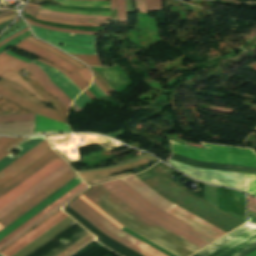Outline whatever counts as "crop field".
I'll return each instance as SVG.
<instances>
[{"label":"crop field","mask_w":256,"mask_h":256,"mask_svg":"<svg viewBox=\"0 0 256 256\" xmlns=\"http://www.w3.org/2000/svg\"><path fill=\"white\" fill-rule=\"evenodd\" d=\"M89 101H91V99L82 92L74 102L78 105L80 109H82L84 105Z\"/></svg>","instance_id":"obj_38"},{"label":"crop field","mask_w":256,"mask_h":256,"mask_svg":"<svg viewBox=\"0 0 256 256\" xmlns=\"http://www.w3.org/2000/svg\"><path fill=\"white\" fill-rule=\"evenodd\" d=\"M63 5H76L84 7H110L109 1H85V0H55Z\"/></svg>","instance_id":"obj_27"},{"label":"crop field","mask_w":256,"mask_h":256,"mask_svg":"<svg viewBox=\"0 0 256 256\" xmlns=\"http://www.w3.org/2000/svg\"><path fill=\"white\" fill-rule=\"evenodd\" d=\"M170 144L174 153L198 161L256 167V155L250 150L207 144H203V150L173 141Z\"/></svg>","instance_id":"obj_5"},{"label":"crop field","mask_w":256,"mask_h":256,"mask_svg":"<svg viewBox=\"0 0 256 256\" xmlns=\"http://www.w3.org/2000/svg\"><path fill=\"white\" fill-rule=\"evenodd\" d=\"M99 88H101L108 96H110L108 94V91L94 78V81H93Z\"/></svg>","instance_id":"obj_50"},{"label":"crop field","mask_w":256,"mask_h":256,"mask_svg":"<svg viewBox=\"0 0 256 256\" xmlns=\"http://www.w3.org/2000/svg\"><path fill=\"white\" fill-rule=\"evenodd\" d=\"M25 70H28L33 74L39 80L43 88L55 96L66 107V109H68L72 101L49 80L47 75L38 66L31 63Z\"/></svg>","instance_id":"obj_18"},{"label":"crop field","mask_w":256,"mask_h":256,"mask_svg":"<svg viewBox=\"0 0 256 256\" xmlns=\"http://www.w3.org/2000/svg\"><path fill=\"white\" fill-rule=\"evenodd\" d=\"M56 156H58L54 150L51 151L49 154H47L46 156H44L42 159H40L39 161H37L35 164H33L32 166H30L28 169H26L25 171H23L21 174H19L18 176H16L14 179H12L11 181H9L7 184H5L4 186H2L0 188V197L5 194L6 192H8L10 189H12L13 187H15L17 184H19L20 182H22L24 179H26L28 176H30L31 174H33L35 171H37L38 169H40L42 166H44L45 164H47L49 161H51L52 159H54Z\"/></svg>","instance_id":"obj_19"},{"label":"crop field","mask_w":256,"mask_h":256,"mask_svg":"<svg viewBox=\"0 0 256 256\" xmlns=\"http://www.w3.org/2000/svg\"><path fill=\"white\" fill-rule=\"evenodd\" d=\"M90 69L93 72V76L98 79L111 93L114 92L115 90L109 85L107 84L99 75L98 73L94 70L93 67H90Z\"/></svg>","instance_id":"obj_42"},{"label":"crop field","mask_w":256,"mask_h":256,"mask_svg":"<svg viewBox=\"0 0 256 256\" xmlns=\"http://www.w3.org/2000/svg\"><path fill=\"white\" fill-rule=\"evenodd\" d=\"M38 15L39 16L50 17V18L62 19V20H70V21H75V22H94V23L111 24V21H99V20H87V19H71V18L58 17V16H52V15H43V14H38Z\"/></svg>","instance_id":"obj_34"},{"label":"crop field","mask_w":256,"mask_h":256,"mask_svg":"<svg viewBox=\"0 0 256 256\" xmlns=\"http://www.w3.org/2000/svg\"><path fill=\"white\" fill-rule=\"evenodd\" d=\"M101 186L139 215L200 248L215 240L154 206L120 179L101 184Z\"/></svg>","instance_id":"obj_3"},{"label":"crop field","mask_w":256,"mask_h":256,"mask_svg":"<svg viewBox=\"0 0 256 256\" xmlns=\"http://www.w3.org/2000/svg\"><path fill=\"white\" fill-rule=\"evenodd\" d=\"M88 199H90L93 203L102 198L103 196L109 197L112 201H114L117 205L123 208L126 212H128L135 219L151 226L155 227L157 225L151 223L145 218L139 216L129 207H127L124 203L114 197L111 193L105 190L100 185L92 187L87 193L83 194ZM103 197L95 204L99 206L102 210L112 216L115 220L121 223L123 226L129 228L130 230L138 233L139 235L145 237L146 239L152 241L153 243L159 245L160 247L168 250L169 252L175 254L176 256H188L200 249L185 240L173 235L172 233L160 228H151L131 217L128 213H126L123 209L117 206L114 202H112L109 198Z\"/></svg>","instance_id":"obj_1"},{"label":"crop field","mask_w":256,"mask_h":256,"mask_svg":"<svg viewBox=\"0 0 256 256\" xmlns=\"http://www.w3.org/2000/svg\"><path fill=\"white\" fill-rule=\"evenodd\" d=\"M30 84L31 86L47 101H49L65 118H66V112L67 110L64 108V106L57 101L55 98L50 96L42 87L41 85L37 82L35 78L32 76H26L24 77Z\"/></svg>","instance_id":"obj_22"},{"label":"crop field","mask_w":256,"mask_h":256,"mask_svg":"<svg viewBox=\"0 0 256 256\" xmlns=\"http://www.w3.org/2000/svg\"><path fill=\"white\" fill-rule=\"evenodd\" d=\"M66 215L64 212H62L61 210L58 211L56 214H54L53 216H51L49 219H47L46 221H44L43 223H41L39 226H37L36 228H34L32 231H30L29 233H27L25 236H23L22 238H20L18 241H16L15 243H13L12 245H10L8 248H6L5 250H3L0 254L4 255V256H12L13 254H15L16 252H18L20 249H22L23 247H25L27 244H29L30 242H32L34 239H36L37 237H39L41 234H43L45 231H47L48 229H50L52 226H54L55 224H57L59 221H61L62 219H64ZM1 256V255H0Z\"/></svg>","instance_id":"obj_14"},{"label":"crop field","mask_w":256,"mask_h":256,"mask_svg":"<svg viewBox=\"0 0 256 256\" xmlns=\"http://www.w3.org/2000/svg\"><path fill=\"white\" fill-rule=\"evenodd\" d=\"M29 35H30V31L25 33V34H23V35H21V36H19V37H17V38H15L14 40L8 42L7 44H5L2 47H0V52L5 50L6 48L16 44L17 42L21 41L23 38H25V37H27Z\"/></svg>","instance_id":"obj_39"},{"label":"crop field","mask_w":256,"mask_h":256,"mask_svg":"<svg viewBox=\"0 0 256 256\" xmlns=\"http://www.w3.org/2000/svg\"><path fill=\"white\" fill-rule=\"evenodd\" d=\"M92 238H94V236L92 235H87L85 238H83L82 240H80L79 242H77L75 245H73L72 247H70L69 249H67L65 252H63L62 254H60L59 256H68L71 253H73L75 250H77L78 248H80L82 245H84L85 243H87L88 241H90ZM83 247V246H82ZM76 252V251H75Z\"/></svg>","instance_id":"obj_33"},{"label":"crop field","mask_w":256,"mask_h":256,"mask_svg":"<svg viewBox=\"0 0 256 256\" xmlns=\"http://www.w3.org/2000/svg\"><path fill=\"white\" fill-rule=\"evenodd\" d=\"M79 198H81L83 201H85L87 204H89L91 207H93L95 210H97L119 228H123L121 224H119L117 221H115L113 218H111L109 215H107L105 212L95 206L86 197L82 195ZM79 198L75 199L69 206V208L107 237L122 244L123 246L129 248L130 250L136 252L141 256H167L162 252L154 249L153 247L147 245L146 243L131 236L130 234L122 231Z\"/></svg>","instance_id":"obj_4"},{"label":"crop field","mask_w":256,"mask_h":256,"mask_svg":"<svg viewBox=\"0 0 256 256\" xmlns=\"http://www.w3.org/2000/svg\"><path fill=\"white\" fill-rule=\"evenodd\" d=\"M36 18H39L41 20H45V21H52V22H58V23H62V24H69V25H84V26H102L104 24H87V23H72V22H65V21H60V20H55V19H46V18H42V17H38L36 16ZM108 26V25H106Z\"/></svg>","instance_id":"obj_37"},{"label":"crop field","mask_w":256,"mask_h":256,"mask_svg":"<svg viewBox=\"0 0 256 256\" xmlns=\"http://www.w3.org/2000/svg\"><path fill=\"white\" fill-rule=\"evenodd\" d=\"M69 169H71L69 167V165L66 163L64 164L62 167H60L58 170H56L55 172H53L51 175H49L48 177H46L44 180H42L40 183H38L37 185H35L33 188H31L30 190H28L26 193H24L22 196H20L19 198H17L16 200H14L12 203H10L9 205H7L5 208H3L2 210H0V218L3 217L4 215H6L7 213H9L11 210H13L14 208H16L18 205H20L22 202H24L25 200H27L29 197H31L32 195H34L35 193H37L39 190H41L42 188H44L45 186H47L49 183H51L52 181H54L55 179H57L59 176H61L62 174H64L65 172H67Z\"/></svg>","instance_id":"obj_17"},{"label":"crop field","mask_w":256,"mask_h":256,"mask_svg":"<svg viewBox=\"0 0 256 256\" xmlns=\"http://www.w3.org/2000/svg\"><path fill=\"white\" fill-rule=\"evenodd\" d=\"M0 94L42 116L67 123L66 119L58 111L43 105L39 99L33 97L18 84L16 85L7 80L0 79Z\"/></svg>","instance_id":"obj_8"},{"label":"crop field","mask_w":256,"mask_h":256,"mask_svg":"<svg viewBox=\"0 0 256 256\" xmlns=\"http://www.w3.org/2000/svg\"><path fill=\"white\" fill-rule=\"evenodd\" d=\"M87 186H83L81 189H79L78 191H76L74 194H72L71 196H69L67 199H65L64 201H62L60 204H58L57 206H55L53 209H51L50 211H48L46 214H44L43 216H41L40 218H38L36 221H34L33 223H31L29 226H27L26 228H24L22 231H20L19 233H17L15 236H13L12 238H10L8 241H6L5 243H3L0 246V250H2L3 248H5L7 245H9L10 243H12L14 240H16L17 238H19L21 235H23L24 233H26L28 230H30L31 228H33L35 225H37L38 223H40L42 220H44L45 218H47L49 215H51L52 213H54L56 210H58L59 208H61L63 205H65L68 201H70L73 197H75L77 194H79L81 191H83L84 189H86Z\"/></svg>","instance_id":"obj_21"},{"label":"crop field","mask_w":256,"mask_h":256,"mask_svg":"<svg viewBox=\"0 0 256 256\" xmlns=\"http://www.w3.org/2000/svg\"><path fill=\"white\" fill-rule=\"evenodd\" d=\"M132 174H133V172L122 174V175L107 176V177H104V178H100V179H97V180H94V181L87 182V184L92 185V184H96V183H100V182H104V181H110V180L118 179V178L125 177V176L132 175Z\"/></svg>","instance_id":"obj_36"},{"label":"crop field","mask_w":256,"mask_h":256,"mask_svg":"<svg viewBox=\"0 0 256 256\" xmlns=\"http://www.w3.org/2000/svg\"><path fill=\"white\" fill-rule=\"evenodd\" d=\"M26 39H28V40H30V41H32V42H34V43H36V44H38V45H40V46H42V47H44V48H46V49H48V50L54 52V53H56V54H58V55H60V56H62V57H64V58H66L67 60H69L70 62H72L73 64L77 65V66L80 67V68L84 66V65L78 63L77 61L73 60V59L70 58L69 56H67V55H65V54H63V53H61L60 51H58V50H56V49H54V48H52V47H49V46H47V45H45V44H43V43H41V42H39V41H37V40L31 38V37H28V38H26Z\"/></svg>","instance_id":"obj_31"},{"label":"crop field","mask_w":256,"mask_h":256,"mask_svg":"<svg viewBox=\"0 0 256 256\" xmlns=\"http://www.w3.org/2000/svg\"><path fill=\"white\" fill-rule=\"evenodd\" d=\"M25 27H27V25H25V26H23V27H21V28H19V29L15 30V31H13V32L9 33L8 35H6V36H4V37L0 38V41H1L2 39L6 38V37H8V36H10V35H12V34H14V33L18 32L19 30H21V29H23V28H25Z\"/></svg>","instance_id":"obj_51"},{"label":"crop field","mask_w":256,"mask_h":256,"mask_svg":"<svg viewBox=\"0 0 256 256\" xmlns=\"http://www.w3.org/2000/svg\"><path fill=\"white\" fill-rule=\"evenodd\" d=\"M50 150L52 149L49 147L48 143L45 140L41 144L33 148L31 151L26 153L24 156L19 158L17 161L12 163L10 166L5 168L3 171L0 172V186L10 180L19 172H21L27 166L32 164L38 158L44 156Z\"/></svg>","instance_id":"obj_12"},{"label":"crop field","mask_w":256,"mask_h":256,"mask_svg":"<svg viewBox=\"0 0 256 256\" xmlns=\"http://www.w3.org/2000/svg\"><path fill=\"white\" fill-rule=\"evenodd\" d=\"M169 162L185 174L196 179L240 189L252 196H256V175L195 168L171 159Z\"/></svg>","instance_id":"obj_6"},{"label":"crop field","mask_w":256,"mask_h":256,"mask_svg":"<svg viewBox=\"0 0 256 256\" xmlns=\"http://www.w3.org/2000/svg\"><path fill=\"white\" fill-rule=\"evenodd\" d=\"M2 78L11 80L15 83H19L20 85L24 86L31 94H33L35 97L39 98L40 100L47 102L46 100H44L43 98H41L34 90L33 88L27 83V81L25 79H23L22 77H20L18 74L12 72V71H8L7 73H5L3 76H1Z\"/></svg>","instance_id":"obj_28"},{"label":"crop field","mask_w":256,"mask_h":256,"mask_svg":"<svg viewBox=\"0 0 256 256\" xmlns=\"http://www.w3.org/2000/svg\"><path fill=\"white\" fill-rule=\"evenodd\" d=\"M171 168L163 163H158L150 169L136 174L140 179L150 185L153 189L165 198L218 226L219 228L230 231L242 224L186 191L180 189L164 176L172 172Z\"/></svg>","instance_id":"obj_2"},{"label":"crop field","mask_w":256,"mask_h":256,"mask_svg":"<svg viewBox=\"0 0 256 256\" xmlns=\"http://www.w3.org/2000/svg\"><path fill=\"white\" fill-rule=\"evenodd\" d=\"M40 13L52 14V15H58V16H65V17H71V18H93V19H101V20H110V17L82 16V15L66 14V13L46 11V10H41Z\"/></svg>","instance_id":"obj_30"},{"label":"crop field","mask_w":256,"mask_h":256,"mask_svg":"<svg viewBox=\"0 0 256 256\" xmlns=\"http://www.w3.org/2000/svg\"><path fill=\"white\" fill-rule=\"evenodd\" d=\"M10 13H13V12L8 10V11L0 13V16L7 15V14H10Z\"/></svg>","instance_id":"obj_53"},{"label":"crop field","mask_w":256,"mask_h":256,"mask_svg":"<svg viewBox=\"0 0 256 256\" xmlns=\"http://www.w3.org/2000/svg\"><path fill=\"white\" fill-rule=\"evenodd\" d=\"M121 180H123L133 189H135L138 193H140L154 205L160 207L165 211H168L175 205L169 202L168 200L164 199L162 196H160L158 193H156L154 190H152L150 187H148L145 183H143L134 175L122 178ZM168 212L215 239L226 234L176 205Z\"/></svg>","instance_id":"obj_7"},{"label":"crop field","mask_w":256,"mask_h":256,"mask_svg":"<svg viewBox=\"0 0 256 256\" xmlns=\"http://www.w3.org/2000/svg\"><path fill=\"white\" fill-rule=\"evenodd\" d=\"M15 47L20 48L24 51H27L29 53H32L36 56H39L45 60H48L62 68H64L65 70H67L68 72H73L77 69H79L78 67H76L75 65L69 63L68 61L60 58L59 56L55 55L54 53L28 41V40H23L22 42H20L19 44H17Z\"/></svg>","instance_id":"obj_15"},{"label":"crop field","mask_w":256,"mask_h":256,"mask_svg":"<svg viewBox=\"0 0 256 256\" xmlns=\"http://www.w3.org/2000/svg\"><path fill=\"white\" fill-rule=\"evenodd\" d=\"M14 138H8V137H1L0 138V148H2L4 145H6L8 142H10Z\"/></svg>","instance_id":"obj_47"},{"label":"crop field","mask_w":256,"mask_h":256,"mask_svg":"<svg viewBox=\"0 0 256 256\" xmlns=\"http://www.w3.org/2000/svg\"><path fill=\"white\" fill-rule=\"evenodd\" d=\"M70 132L69 126L36 114L35 134Z\"/></svg>","instance_id":"obj_20"},{"label":"crop field","mask_w":256,"mask_h":256,"mask_svg":"<svg viewBox=\"0 0 256 256\" xmlns=\"http://www.w3.org/2000/svg\"><path fill=\"white\" fill-rule=\"evenodd\" d=\"M75 176H77L76 172L73 171L72 169L69 170L67 173L59 177L57 180L52 182L50 185L42 189L40 192L35 194L33 197L28 199L26 202L18 206L16 209L11 211L9 214L4 216L2 219H0V223L3 225H8L10 222L18 218L20 215L25 213L27 210L32 208L34 205L42 201L44 198L49 196L51 193L56 191L58 188L66 184L68 181L73 179ZM0 224V230L5 227Z\"/></svg>","instance_id":"obj_10"},{"label":"crop field","mask_w":256,"mask_h":256,"mask_svg":"<svg viewBox=\"0 0 256 256\" xmlns=\"http://www.w3.org/2000/svg\"><path fill=\"white\" fill-rule=\"evenodd\" d=\"M139 12L147 13L144 0H135Z\"/></svg>","instance_id":"obj_43"},{"label":"crop field","mask_w":256,"mask_h":256,"mask_svg":"<svg viewBox=\"0 0 256 256\" xmlns=\"http://www.w3.org/2000/svg\"><path fill=\"white\" fill-rule=\"evenodd\" d=\"M249 210L256 212V199L248 196Z\"/></svg>","instance_id":"obj_45"},{"label":"crop field","mask_w":256,"mask_h":256,"mask_svg":"<svg viewBox=\"0 0 256 256\" xmlns=\"http://www.w3.org/2000/svg\"><path fill=\"white\" fill-rule=\"evenodd\" d=\"M28 65V63L8 56L4 53H0V75L3 74L6 70L11 69L15 72L19 71L23 67Z\"/></svg>","instance_id":"obj_23"},{"label":"crop field","mask_w":256,"mask_h":256,"mask_svg":"<svg viewBox=\"0 0 256 256\" xmlns=\"http://www.w3.org/2000/svg\"><path fill=\"white\" fill-rule=\"evenodd\" d=\"M15 16H16V14H12V15H9V16L3 17V18H0V23L5 22V21H7V20H9V19H14Z\"/></svg>","instance_id":"obj_49"},{"label":"crop field","mask_w":256,"mask_h":256,"mask_svg":"<svg viewBox=\"0 0 256 256\" xmlns=\"http://www.w3.org/2000/svg\"><path fill=\"white\" fill-rule=\"evenodd\" d=\"M64 163L66 162L58 156L47 165L42 167L40 170L35 172L33 175L28 177L26 180H24L22 183L17 185L15 188H13L0 198V209L12 202L14 199H16L18 196H20L32 186L37 184L39 181L44 179L50 173L62 166Z\"/></svg>","instance_id":"obj_11"},{"label":"crop field","mask_w":256,"mask_h":256,"mask_svg":"<svg viewBox=\"0 0 256 256\" xmlns=\"http://www.w3.org/2000/svg\"><path fill=\"white\" fill-rule=\"evenodd\" d=\"M41 141H43V139L41 138H37V139H28L25 142H23L21 145H19L18 147L23 148L24 150L21 152H19V154L17 156H15L14 158H9L6 157L3 160L0 161V170H2L4 167H6L7 165H9L11 162H13L14 160H16L17 158H19L21 155H23L24 153H26L27 151H29L31 148H33L34 146H36L37 144H39Z\"/></svg>","instance_id":"obj_25"},{"label":"crop field","mask_w":256,"mask_h":256,"mask_svg":"<svg viewBox=\"0 0 256 256\" xmlns=\"http://www.w3.org/2000/svg\"><path fill=\"white\" fill-rule=\"evenodd\" d=\"M86 95H88L92 100L96 99L87 89L83 91Z\"/></svg>","instance_id":"obj_52"},{"label":"crop field","mask_w":256,"mask_h":256,"mask_svg":"<svg viewBox=\"0 0 256 256\" xmlns=\"http://www.w3.org/2000/svg\"><path fill=\"white\" fill-rule=\"evenodd\" d=\"M37 61H41V62H44V63H46V64H48V65H51V64H49V63H47V62H45V61H43V60H40V59H38V58H37ZM51 66H53V65H51ZM53 67H55V66H53ZM55 68H57V67H55ZM57 69L60 70L62 73H64L67 77H69L82 91H83L87 86H89V85L78 75L77 72H74V73H72V74H69V73H67V72H65V71H63V70H61V69H59V68H57Z\"/></svg>","instance_id":"obj_29"},{"label":"crop field","mask_w":256,"mask_h":256,"mask_svg":"<svg viewBox=\"0 0 256 256\" xmlns=\"http://www.w3.org/2000/svg\"><path fill=\"white\" fill-rule=\"evenodd\" d=\"M79 75L88 83L90 84L92 75L88 71V69L85 67L81 68L80 70L77 71Z\"/></svg>","instance_id":"obj_40"},{"label":"crop field","mask_w":256,"mask_h":256,"mask_svg":"<svg viewBox=\"0 0 256 256\" xmlns=\"http://www.w3.org/2000/svg\"><path fill=\"white\" fill-rule=\"evenodd\" d=\"M34 34L44 41H51L59 44H67V45H73V46H79V47H88V48H95L94 50L89 49H81V48H73V47H67L62 45H56L60 47L61 49L65 50L68 53H81V54H97L96 51V38L97 36H91V35H73V34H67V33H61L56 31H51L48 29L36 27L33 25H30ZM49 43V42H48Z\"/></svg>","instance_id":"obj_9"},{"label":"crop field","mask_w":256,"mask_h":256,"mask_svg":"<svg viewBox=\"0 0 256 256\" xmlns=\"http://www.w3.org/2000/svg\"><path fill=\"white\" fill-rule=\"evenodd\" d=\"M28 30H29V29H28V27H27V28H25V29L19 31L18 33L14 34V35L11 36L10 38H8V39H6L5 41H3L2 43H0V46L3 45L4 43H6L7 41L13 39L14 37H16V36H18V35H20V34L26 32V31H28Z\"/></svg>","instance_id":"obj_46"},{"label":"crop field","mask_w":256,"mask_h":256,"mask_svg":"<svg viewBox=\"0 0 256 256\" xmlns=\"http://www.w3.org/2000/svg\"><path fill=\"white\" fill-rule=\"evenodd\" d=\"M40 6L33 5L28 3L27 7L25 8V11H27L31 15H35L36 12L39 10ZM41 9H46V10H55V11H61V12H67V13H77V14H89V15H109L110 12H82V11H74V10H63V9H54V8H49L42 6Z\"/></svg>","instance_id":"obj_26"},{"label":"crop field","mask_w":256,"mask_h":256,"mask_svg":"<svg viewBox=\"0 0 256 256\" xmlns=\"http://www.w3.org/2000/svg\"><path fill=\"white\" fill-rule=\"evenodd\" d=\"M72 101L81 92L64 74L60 71L41 62L34 61Z\"/></svg>","instance_id":"obj_16"},{"label":"crop field","mask_w":256,"mask_h":256,"mask_svg":"<svg viewBox=\"0 0 256 256\" xmlns=\"http://www.w3.org/2000/svg\"><path fill=\"white\" fill-rule=\"evenodd\" d=\"M26 20H27V22L35 24L37 26L52 29V30H56V31H63V32H70V33H77V34H96V33H98V32H82V31H75V30L57 29V28H54V27L44 26L42 24L35 23V22H33V21H31L27 18H26Z\"/></svg>","instance_id":"obj_35"},{"label":"crop field","mask_w":256,"mask_h":256,"mask_svg":"<svg viewBox=\"0 0 256 256\" xmlns=\"http://www.w3.org/2000/svg\"><path fill=\"white\" fill-rule=\"evenodd\" d=\"M21 139H23V138H16L12 142L7 144L5 147L0 149V159H2L4 156L10 154V153L6 152L5 150L8 149L9 147H11L12 145H14L15 143H17L18 141H20Z\"/></svg>","instance_id":"obj_41"},{"label":"crop field","mask_w":256,"mask_h":256,"mask_svg":"<svg viewBox=\"0 0 256 256\" xmlns=\"http://www.w3.org/2000/svg\"><path fill=\"white\" fill-rule=\"evenodd\" d=\"M246 256H256V249L252 251L251 253L247 254Z\"/></svg>","instance_id":"obj_54"},{"label":"crop field","mask_w":256,"mask_h":256,"mask_svg":"<svg viewBox=\"0 0 256 256\" xmlns=\"http://www.w3.org/2000/svg\"><path fill=\"white\" fill-rule=\"evenodd\" d=\"M5 53H6V54H9V55H11V56H14V57H16V58H18V59H21V60H23V61H26V62H28V63H31V61H29V60H27V59H25V58H23V57H21V56L15 54V53H12V52H10V51H8V50L5 51Z\"/></svg>","instance_id":"obj_48"},{"label":"crop field","mask_w":256,"mask_h":256,"mask_svg":"<svg viewBox=\"0 0 256 256\" xmlns=\"http://www.w3.org/2000/svg\"><path fill=\"white\" fill-rule=\"evenodd\" d=\"M111 11H116V2L111 0ZM112 22H117L116 12H111Z\"/></svg>","instance_id":"obj_44"},{"label":"crop field","mask_w":256,"mask_h":256,"mask_svg":"<svg viewBox=\"0 0 256 256\" xmlns=\"http://www.w3.org/2000/svg\"><path fill=\"white\" fill-rule=\"evenodd\" d=\"M83 62H85L88 65L92 66H102L99 62L98 56L97 55H77V54H71Z\"/></svg>","instance_id":"obj_32"},{"label":"crop field","mask_w":256,"mask_h":256,"mask_svg":"<svg viewBox=\"0 0 256 256\" xmlns=\"http://www.w3.org/2000/svg\"><path fill=\"white\" fill-rule=\"evenodd\" d=\"M80 182H82L78 177L74 178L73 180H71L69 183H67L66 185H64L62 188H60L59 190H57L55 193H53L52 195H50L48 198H46L45 200H43L41 203H39L38 205H36L34 208H32L31 210H29L27 213H25L24 215H22L20 218H18L17 220H15L13 223H11L10 225H8L6 228H4L3 230L0 231V240L5 237L6 235H8L10 232H12L13 230H15L17 227H19L20 225H22L24 222H26L27 220H29L31 217H33L34 215H36L38 212H40L41 210H43L45 207H47L48 205H50L52 202H54L55 200H57L59 197H61L62 195H64L66 192H68L69 190H71L73 187H75L76 185H78Z\"/></svg>","instance_id":"obj_13"},{"label":"crop field","mask_w":256,"mask_h":256,"mask_svg":"<svg viewBox=\"0 0 256 256\" xmlns=\"http://www.w3.org/2000/svg\"><path fill=\"white\" fill-rule=\"evenodd\" d=\"M83 185H85L83 182L80 183L78 186H76L75 188H73L71 191H69L68 193H66L64 196H62L61 198H59L57 201H55L54 203H52L50 206H48L47 208H45L43 211H41L40 213H38L36 216H34L33 218H31L29 221H27L26 223H24L22 226H20L19 228H17L15 231H13L12 233H10L8 236H6L5 238H3L0 241V244H2L3 242H5L7 239H9L10 237H12L14 234H16L17 232H19L21 229H23L24 227H26L28 224H30L31 222H33L34 220H36L38 217H40L41 215H43L45 212H47L48 210H50L52 207H54L55 205H57L59 202H61L62 200H64L66 197H68L69 195H71L72 193H74L76 190H78L79 188H81Z\"/></svg>","instance_id":"obj_24"}]
</instances>
